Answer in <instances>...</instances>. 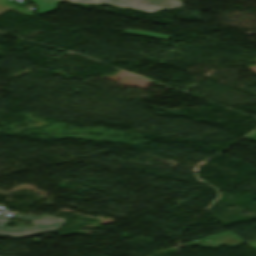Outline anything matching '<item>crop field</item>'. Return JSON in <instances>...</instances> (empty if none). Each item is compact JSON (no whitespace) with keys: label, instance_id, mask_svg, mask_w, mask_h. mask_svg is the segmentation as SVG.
Returning <instances> with one entry per match:
<instances>
[{"label":"crop field","instance_id":"crop-field-4","mask_svg":"<svg viewBox=\"0 0 256 256\" xmlns=\"http://www.w3.org/2000/svg\"><path fill=\"white\" fill-rule=\"evenodd\" d=\"M39 6L38 12L53 11L61 2L59 0H33Z\"/></svg>","mask_w":256,"mask_h":256},{"label":"crop field","instance_id":"crop-field-5","mask_svg":"<svg viewBox=\"0 0 256 256\" xmlns=\"http://www.w3.org/2000/svg\"><path fill=\"white\" fill-rule=\"evenodd\" d=\"M124 33L136 35V36H142V37H149V38H155V39H162V40H168L171 37L152 33V32H146V31H138V30H124Z\"/></svg>","mask_w":256,"mask_h":256},{"label":"crop field","instance_id":"crop-field-3","mask_svg":"<svg viewBox=\"0 0 256 256\" xmlns=\"http://www.w3.org/2000/svg\"><path fill=\"white\" fill-rule=\"evenodd\" d=\"M190 243L197 245L199 247L217 249L222 244H225L230 248L236 247L244 243V241H242L239 237H237L231 231H228V232L216 234L213 236H209L203 239H199L196 241H192Z\"/></svg>","mask_w":256,"mask_h":256},{"label":"crop field","instance_id":"crop-field-2","mask_svg":"<svg viewBox=\"0 0 256 256\" xmlns=\"http://www.w3.org/2000/svg\"><path fill=\"white\" fill-rule=\"evenodd\" d=\"M61 2L79 3H110L115 6L136 10L143 9L147 13H153L160 9L181 7L176 0H60Z\"/></svg>","mask_w":256,"mask_h":256},{"label":"crop field","instance_id":"crop-field-1","mask_svg":"<svg viewBox=\"0 0 256 256\" xmlns=\"http://www.w3.org/2000/svg\"><path fill=\"white\" fill-rule=\"evenodd\" d=\"M11 218L31 219L33 226H30V227L15 226L13 228L4 227L5 224L9 222ZM65 222H66L65 219L52 216V215L32 216V215L16 214L14 217L0 215V235L11 236V237L38 235L51 230L60 229Z\"/></svg>","mask_w":256,"mask_h":256}]
</instances>
